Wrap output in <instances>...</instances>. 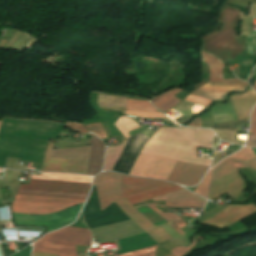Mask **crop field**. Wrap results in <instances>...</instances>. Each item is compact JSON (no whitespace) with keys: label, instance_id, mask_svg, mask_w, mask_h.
Listing matches in <instances>:
<instances>
[{"label":"crop field","instance_id":"22f410ed","mask_svg":"<svg viewBox=\"0 0 256 256\" xmlns=\"http://www.w3.org/2000/svg\"><path fill=\"white\" fill-rule=\"evenodd\" d=\"M31 178L66 180V181H76V182H86V183H90L91 181V177L60 174V173H42V176L32 175Z\"/></svg>","mask_w":256,"mask_h":256},{"label":"crop field","instance_id":"c21b1889","mask_svg":"<svg viewBox=\"0 0 256 256\" xmlns=\"http://www.w3.org/2000/svg\"><path fill=\"white\" fill-rule=\"evenodd\" d=\"M229 150V149H228Z\"/></svg>","mask_w":256,"mask_h":256},{"label":"crop field","instance_id":"34b2d1b8","mask_svg":"<svg viewBox=\"0 0 256 256\" xmlns=\"http://www.w3.org/2000/svg\"><path fill=\"white\" fill-rule=\"evenodd\" d=\"M127 141L106 149L104 170H112ZM175 163L167 158L139 155L130 175L166 180ZM207 169V166L177 161L167 180L193 186L199 183Z\"/></svg>","mask_w":256,"mask_h":256},{"label":"crop field","instance_id":"92a150f3","mask_svg":"<svg viewBox=\"0 0 256 256\" xmlns=\"http://www.w3.org/2000/svg\"><path fill=\"white\" fill-rule=\"evenodd\" d=\"M211 176H212V173H211V170H209L205 178L202 180V182L199 184V186L196 188L194 192L204 197H207Z\"/></svg>","mask_w":256,"mask_h":256},{"label":"crop field","instance_id":"f4fd0767","mask_svg":"<svg viewBox=\"0 0 256 256\" xmlns=\"http://www.w3.org/2000/svg\"><path fill=\"white\" fill-rule=\"evenodd\" d=\"M201 53L202 61L207 63L210 67V77L208 81H224L222 80V62L207 52L201 50ZM248 86L249 85L243 81L208 82V84L192 92L191 94L202 96L211 100H223L224 96L228 94L231 90L244 91Z\"/></svg>","mask_w":256,"mask_h":256},{"label":"crop field","instance_id":"b80d0937","mask_svg":"<svg viewBox=\"0 0 256 256\" xmlns=\"http://www.w3.org/2000/svg\"><path fill=\"white\" fill-rule=\"evenodd\" d=\"M1 122H2V121H0V125H1Z\"/></svg>","mask_w":256,"mask_h":256},{"label":"crop field","instance_id":"028f5c9d","mask_svg":"<svg viewBox=\"0 0 256 256\" xmlns=\"http://www.w3.org/2000/svg\"><path fill=\"white\" fill-rule=\"evenodd\" d=\"M19 228H31V227H19ZM32 229H44V228H32Z\"/></svg>","mask_w":256,"mask_h":256},{"label":"crop field","instance_id":"750c4746","mask_svg":"<svg viewBox=\"0 0 256 256\" xmlns=\"http://www.w3.org/2000/svg\"><path fill=\"white\" fill-rule=\"evenodd\" d=\"M223 207H225V206H218V207L208 211L207 213H205L204 215H202L200 217V220L207 218L208 216H210L211 214L217 212L218 210L222 209Z\"/></svg>","mask_w":256,"mask_h":256},{"label":"crop field","instance_id":"dafd665d","mask_svg":"<svg viewBox=\"0 0 256 256\" xmlns=\"http://www.w3.org/2000/svg\"><path fill=\"white\" fill-rule=\"evenodd\" d=\"M155 247L156 246H153V247L145 248V249L130 252V253L120 254L117 256H154Z\"/></svg>","mask_w":256,"mask_h":256},{"label":"crop field","instance_id":"214f88e0","mask_svg":"<svg viewBox=\"0 0 256 256\" xmlns=\"http://www.w3.org/2000/svg\"><path fill=\"white\" fill-rule=\"evenodd\" d=\"M229 158L242 159V160H249V159H253V158H256V157L254 156V153H253V151H252L250 148L244 147L242 150H240V151H238L237 153H235V154H233V155H231V156L225 158L223 161H225V160H227V159H229ZM223 161H221V162H223ZM221 162H220V163H221ZM220 163H219V164H220ZM216 166H217V165H216ZM216 166H215V167H216ZM215 167H214V168H215ZM214 168H212V170H213Z\"/></svg>","mask_w":256,"mask_h":256},{"label":"crop field","instance_id":"8a807250","mask_svg":"<svg viewBox=\"0 0 256 256\" xmlns=\"http://www.w3.org/2000/svg\"><path fill=\"white\" fill-rule=\"evenodd\" d=\"M168 182L164 181H156V180H148V179H140L134 177H128L121 175V192L122 197H128L142 191L160 186ZM92 185H96L97 193L101 205V209H105L109 204L113 201L120 199V175L112 172H103L97 174L94 179ZM184 188L168 183L162 185L160 187L142 192L140 194L125 198L129 203L136 204L154 197L166 195L172 192H176L179 190H183ZM187 198H200L186 190L179 191L173 194H169L163 197L155 198L153 200H172V199H187ZM124 199H120L115 201L117 205L124 211V213L132 219L139 227H141L144 231L155 226L149 220H147L143 215H141L137 210H135L128 202ZM167 206L174 207H204L206 200L204 199H188V200H172L166 201ZM150 208H152L155 212H157L160 216H162L167 222L173 221L174 224L180 228L185 226L184 221L179 218L177 215L172 213H162L158 209L163 206H157L156 204H148ZM157 206V208L155 207ZM175 231L179 232L182 236L183 233L172 224V222L168 223Z\"/></svg>","mask_w":256,"mask_h":256},{"label":"crop field","instance_id":"4a817a6b","mask_svg":"<svg viewBox=\"0 0 256 256\" xmlns=\"http://www.w3.org/2000/svg\"><path fill=\"white\" fill-rule=\"evenodd\" d=\"M126 110L157 111L149 102L127 99Z\"/></svg>","mask_w":256,"mask_h":256},{"label":"crop field","instance_id":"bc2a9ffb","mask_svg":"<svg viewBox=\"0 0 256 256\" xmlns=\"http://www.w3.org/2000/svg\"><path fill=\"white\" fill-rule=\"evenodd\" d=\"M146 233L149 234L153 239H155L159 244L169 239H172V237H170L160 225L146 231Z\"/></svg>","mask_w":256,"mask_h":256},{"label":"crop field","instance_id":"0bd39190","mask_svg":"<svg viewBox=\"0 0 256 256\" xmlns=\"http://www.w3.org/2000/svg\"><path fill=\"white\" fill-rule=\"evenodd\" d=\"M10 208V207H9ZM10 215H11V212H10ZM11 218H12V215H11Z\"/></svg>","mask_w":256,"mask_h":256},{"label":"crop field","instance_id":"d9b57169","mask_svg":"<svg viewBox=\"0 0 256 256\" xmlns=\"http://www.w3.org/2000/svg\"><path fill=\"white\" fill-rule=\"evenodd\" d=\"M180 91H182V90L177 88L153 103L155 104L156 107H158L159 109H161L165 112L166 110L175 106L180 101L176 97L173 96L174 94H176Z\"/></svg>","mask_w":256,"mask_h":256},{"label":"crop field","instance_id":"cbeb9de0","mask_svg":"<svg viewBox=\"0 0 256 256\" xmlns=\"http://www.w3.org/2000/svg\"><path fill=\"white\" fill-rule=\"evenodd\" d=\"M53 144L49 143L44 164L41 171H61L63 172L66 160L49 158Z\"/></svg>","mask_w":256,"mask_h":256},{"label":"crop field","instance_id":"3316defc","mask_svg":"<svg viewBox=\"0 0 256 256\" xmlns=\"http://www.w3.org/2000/svg\"><path fill=\"white\" fill-rule=\"evenodd\" d=\"M83 204L62 210L58 213L45 216H35L13 213L14 221L18 225L47 226V230L53 231L72 223Z\"/></svg>","mask_w":256,"mask_h":256},{"label":"crop field","instance_id":"d3111659","mask_svg":"<svg viewBox=\"0 0 256 256\" xmlns=\"http://www.w3.org/2000/svg\"><path fill=\"white\" fill-rule=\"evenodd\" d=\"M246 145L256 147V135H249Z\"/></svg>","mask_w":256,"mask_h":256},{"label":"crop field","instance_id":"00972430","mask_svg":"<svg viewBox=\"0 0 256 256\" xmlns=\"http://www.w3.org/2000/svg\"><path fill=\"white\" fill-rule=\"evenodd\" d=\"M85 128L89 129L90 131H92L94 134H96L97 136L101 137V138H106V133L102 127L101 122L98 123H92V124H87L85 125Z\"/></svg>","mask_w":256,"mask_h":256},{"label":"crop field","instance_id":"d1516ede","mask_svg":"<svg viewBox=\"0 0 256 256\" xmlns=\"http://www.w3.org/2000/svg\"><path fill=\"white\" fill-rule=\"evenodd\" d=\"M235 113L238 119L246 118L256 102V93L253 89L249 88L247 92L241 94L231 95Z\"/></svg>","mask_w":256,"mask_h":256},{"label":"crop field","instance_id":"1d83c4d3","mask_svg":"<svg viewBox=\"0 0 256 256\" xmlns=\"http://www.w3.org/2000/svg\"><path fill=\"white\" fill-rule=\"evenodd\" d=\"M186 126H191V127H201V124H200V119L199 117L196 118L192 123L186 125Z\"/></svg>","mask_w":256,"mask_h":256},{"label":"crop field","instance_id":"ae1a2a85","mask_svg":"<svg viewBox=\"0 0 256 256\" xmlns=\"http://www.w3.org/2000/svg\"><path fill=\"white\" fill-rule=\"evenodd\" d=\"M66 126L72 128V129H74V130H77V131H79V132H81V133H83V134L88 133L87 130L84 129V127H83L82 125L77 124V123H71V122H68V121H67Z\"/></svg>","mask_w":256,"mask_h":256},{"label":"crop field","instance_id":"5866460e","mask_svg":"<svg viewBox=\"0 0 256 256\" xmlns=\"http://www.w3.org/2000/svg\"><path fill=\"white\" fill-rule=\"evenodd\" d=\"M177 88V87H176ZM175 89V88H174ZM173 90V89H172ZM171 91V90H170ZM170 91H168V92H170ZM168 92H166V93H168ZM166 93H164V94H162V95H160V96H158V97H155L152 101H154V100H156V99H158L159 97H161V96H163V95H165ZM151 101V102H152Z\"/></svg>","mask_w":256,"mask_h":256},{"label":"crop field","instance_id":"5a996713","mask_svg":"<svg viewBox=\"0 0 256 256\" xmlns=\"http://www.w3.org/2000/svg\"><path fill=\"white\" fill-rule=\"evenodd\" d=\"M83 217L89 229L129 220L115 203L101 212L95 186L83 209Z\"/></svg>","mask_w":256,"mask_h":256},{"label":"crop field","instance_id":"e52e79f7","mask_svg":"<svg viewBox=\"0 0 256 256\" xmlns=\"http://www.w3.org/2000/svg\"><path fill=\"white\" fill-rule=\"evenodd\" d=\"M89 190L90 184L31 179L17 193L86 199Z\"/></svg>","mask_w":256,"mask_h":256},{"label":"crop field","instance_id":"ac0d7876","mask_svg":"<svg viewBox=\"0 0 256 256\" xmlns=\"http://www.w3.org/2000/svg\"><path fill=\"white\" fill-rule=\"evenodd\" d=\"M213 131L209 129L160 127L145 144L141 154L168 157L184 162L210 165L196 156L197 147L211 148Z\"/></svg>","mask_w":256,"mask_h":256},{"label":"crop field","instance_id":"d8731c3e","mask_svg":"<svg viewBox=\"0 0 256 256\" xmlns=\"http://www.w3.org/2000/svg\"><path fill=\"white\" fill-rule=\"evenodd\" d=\"M81 202H85V200L17 194L13 203L72 206ZM65 208L67 207L13 204L12 212L47 214Z\"/></svg>","mask_w":256,"mask_h":256},{"label":"crop field","instance_id":"dd49c442","mask_svg":"<svg viewBox=\"0 0 256 256\" xmlns=\"http://www.w3.org/2000/svg\"><path fill=\"white\" fill-rule=\"evenodd\" d=\"M239 167H249V166L246 161L227 160L221 163L219 167L215 168L213 179L218 178ZM243 182L245 181L240 175V173L238 172V170L230 172L219 179L213 180L211 191L209 194V199L213 200L216 197L226 193L227 191L239 186ZM246 187H247V184L245 182L239 187L228 192V194L235 200L246 189Z\"/></svg>","mask_w":256,"mask_h":256},{"label":"crop field","instance_id":"412701ff","mask_svg":"<svg viewBox=\"0 0 256 256\" xmlns=\"http://www.w3.org/2000/svg\"><path fill=\"white\" fill-rule=\"evenodd\" d=\"M88 229L66 227L46 234L34 243L33 251L59 256H77L75 245L90 246Z\"/></svg>","mask_w":256,"mask_h":256},{"label":"crop field","instance_id":"730fd06b","mask_svg":"<svg viewBox=\"0 0 256 256\" xmlns=\"http://www.w3.org/2000/svg\"><path fill=\"white\" fill-rule=\"evenodd\" d=\"M184 100L186 101H190L193 103H197V104H201V105H205L208 106V104L211 102V100L205 99V98H198V97H194V96H187Z\"/></svg>","mask_w":256,"mask_h":256},{"label":"crop field","instance_id":"a9b5d70f","mask_svg":"<svg viewBox=\"0 0 256 256\" xmlns=\"http://www.w3.org/2000/svg\"><path fill=\"white\" fill-rule=\"evenodd\" d=\"M125 113L140 116V117L167 118L164 115H162L160 113H155V112H130V111H126Z\"/></svg>","mask_w":256,"mask_h":256},{"label":"crop field","instance_id":"eef30255","mask_svg":"<svg viewBox=\"0 0 256 256\" xmlns=\"http://www.w3.org/2000/svg\"><path fill=\"white\" fill-rule=\"evenodd\" d=\"M250 133L256 134V106L254 107L251 115V127L249 130Z\"/></svg>","mask_w":256,"mask_h":256},{"label":"crop field","instance_id":"120bbe31","mask_svg":"<svg viewBox=\"0 0 256 256\" xmlns=\"http://www.w3.org/2000/svg\"><path fill=\"white\" fill-rule=\"evenodd\" d=\"M249 166L256 169V159L247 161Z\"/></svg>","mask_w":256,"mask_h":256},{"label":"crop field","instance_id":"5142ce71","mask_svg":"<svg viewBox=\"0 0 256 256\" xmlns=\"http://www.w3.org/2000/svg\"><path fill=\"white\" fill-rule=\"evenodd\" d=\"M97 104L98 106L103 107H125L126 98L120 96L99 94Z\"/></svg>","mask_w":256,"mask_h":256},{"label":"crop field","instance_id":"d32e631a","mask_svg":"<svg viewBox=\"0 0 256 256\" xmlns=\"http://www.w3.org/2000/svg\"><path fill=\"white\" fill-rule=\"evenodd\" d=\"M32 256H55V255H49V254H42V253L33 252Z\"/></svg>","mask_w":256,"mask_h":256},{"label":"crop field","instance_id":"733c2abd","mask_svg":"<svg viewBox=\"0 0 256 256\" xmlns=\"http://www.w3.org/2000/svg\"><path fill=\"white\" fill-rule=\"evenodd\" d=\"M125 138H129L128 132L139 128V125L128 117H119L114 124Z\"/></svg>","mask_w":256,"mask_h":256},{"label":"crop field","instance_id":"4177f3b9","mask_svg":"<svg viewBox=\"0 0 256 256\" xmlns=\"http://www.w3.org/2000/svg\"><path fill=\"white\" fill-rule=\"evenodd\" d=\"M195 245V238L193 237V242L190 247H174L170 252L175 256H181L185 254L188 250H190Z\"/></svg>","mask_w":256,"mask_h":256},{"label":"crop field","instance_id":"bd1437ed","mask_svg":"<svg viewBox=\"0 0 256 256\" xmlns=\"http://www.w3.org/2000/svg\"><path fill=\"white\" fill-rule=\"evenodd\" d=\"M70 226L86 228V226H85V224L83 222V219H82V215H80L79 219L74 224H72Z\"/></svg>","mask_w":256,"mask_h":256},{"label":"crop field","instance_id":"c035e120","mask_svg":"<svg viewBox=\"0 0 256 256\" xmlns=\"http://www.w3.org/2000/svg\"><path fill=\"white\" fill-rule=\"evenodd\" d=\"M2 229H4V228H2Z\"/></svg>","mask_w":256,"mask_h":256},{"label":"crop field","instance_id":"e1f06a70","mask_svg":"<svg viewBox=\"0 0 256 256\" xmlns=\"http://www.w3.org/2000/svg\"><path fill=\"white\" fill-rule=\"evenodd\" d=\"M252 88H254L256 90V83L254 84V86Z\"/></svg>","mask_w":256,"mask_h":256},{"label":"crop field","instance_id":"28ad6ade","mask_svg":"<svg viewBox=\"0 0 256 256\" xmlns=\"http://www.w3.org/2000/svg\"><path fill=\"white\" fill-rule=\"evenodd\" d=\"M254 212H256V206L252 204L229 205L211 217L200 222V224H206L222 229Z\"/></svg>","mask_w":256,"mask_h":256}]
</instances>
